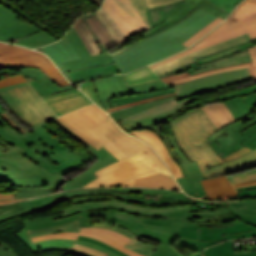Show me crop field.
Segmentation results:
<instances>
[{
  "instance_id": "obj_64",
  "label": "crop field",
  "mask_w": 256,
  "mask_h": 256,
  "mask_svg": "<svg viewBox=\"0 0 256 256\" xmlns=\"http://www.w3.org/2000/svg\"><path fill=\"white\" fill-rule=\"evenodd\" d=\"M250 111H253L256 106V94H253L249 97L244 98Z\"/></svg>"
},
{
  "instance_id": "obj_49",
  "label": "crop field",
  "mask_w": 256,
  "mask_h": 256,
  "mask_svg": "<svg viewBox=\"0 0 256 256\" xmlns=\"http://www.w3.org/2000/svg\"><path fill=\"white\" fill-rule=\"evenodd\" d=\"M57 230H63V231H79V220L72 222V223H68V224H64V225H60V226H56V227H51V228H46V229H41V230H37V231H32V232H28L30 237H34V236H40V235H44V234H48V233H53Z\"/></svg>"
},
{
  "instance_id": "obj_6",
  "label": "crop field",
  "mask_w": 256,
  "mask_h": 256,
  "mask_svg": "<svg viewBox=\"0 0 256 256\" xmlns=\"http://www.w3.org/2000/svg\"><path fill=\"white\" fill-rule=\"evenodd\" d=\"M214 18L216 16L200 9L174 27L131 44L111 56L122 74L149 65L185 49L181 42Z\"/></svg>"
},
{
  "instance_id": "obj_60",
  "label": "crop field",
  "mask_w": 256,
  "mask_h": 256,
  "mask_svg": "<svg viewBox=\"0 0 256 256\" xmlns=\"http://www.w3.org/2000/svg\"><path fill=\"white\" fill-rule=\"evenodd\" d=\"M129 1L137 9V11L143 16V18L146 20V22L148 23V25L151 29V26H150V24L147 20V16H146L144 0H129Z\"/></svg>"
},
{
  "instance_id": "obj_62",
  "label": "crop field",
  "mask_w": 256,
  "mask_h": 256,
  "mask_svg": "<svg viewBox=\"0 0 256 256\" xmlns=\"http://www.w3.org/2000/svg\"><path fill=\"white\" fill-rule=\"evenodd\" d=\"M252 90H256V85L251 86V87H248V88L243 89V90H240V91L232 92V93L227 94V95L220 96V97H218V98H221V99H229V98H231V97H235V96H239V95L248 93L249 91H252Z\"/></svg>"
},
{
  "instance_id": "obj_41",
  "label": "crop field",
  "mask_w": 256,
  "mask_h": 256,
  "mask_svg": "<svg viewBox=\"0 0 256 256\" xmlns=\"http://www.w3.org/2000/svg\"><path fill=\"white\" fill-rule=\"evenodd\" d=\"M110 190L139 193V194H145V195L164 196V197H171V198H190V197H187L183 192H179V191L136 189V188H121V189H110Z\"/></svg>"
},
{
  "instance_id": "obj_24",
  "label": "crop field",
  "mask_w": 256,
  "mask_h": 256,
  "mask_svg": "<svg viewBox=\"0 0 256 256\" xmlns=\"http://www.w3.org/2000/svg\"><path fill=\"white\" fill-rule=\"evenodd\" d=\"M97 158L99 159L98 162L94 163L91 166V168L89 170H87L86 172H84L81 175L77 176L76 178L72 179L68 183L64 184L62 186V190L65 191V190L79 188L80 186H82L98 177L95 174H93L92 172L118 161V159H116L113 155H111L109 152H107L103 148H101L100 153L97 156Z\"/></svg>"
},
{
  "instance_id": "obj_10",
  "label": "crop field",
  "mask_w": 256,
  "mask_h": 256,
  "mask_svg": "<svg viewBox=\"0 0 256 256\" xmlns=\"http://www.w3.org/2000/svg\"><path fill=\"white\" fill-rule=\"evenodd\" d=\"M0 98L23 123L33 129L57 117L28 83L0 89Z\"/></svg>"
},
{
  "instance_id": "obj_8",
  "label": "crop field",
  "mask_w": 256,
  "mask_h": 256,
  "mask_svg": "<svg viewBox=\"0 0 256 256\" xmlns=\"http://www.w3.org/2000/svg\"><path fill=\"white\" fill-rule=\"evenodd\" d=\"M247 32L251 39L256 38V0H244L219 27L194 44L192 47L171 56L159 63L150 65L151 68L180 57L203 47L221 42Z\"/></svg>"
},
{
  "instance_id": "obj_63",
  "label": "crop field",
  "mask_w": 256,
  "mask_h": 256,
  "mask_svg": "<svg viewBox=\"0 0 256 256\" xmlns=\"http://www.w3.org/2000/svg\"><path fill=\"white\" fill-rule=\"evenodd\" d=\"M175 1L179 0H145L147 8L161 6Z\"/></svg>"
},
{
  "instance_id": "obj_39",
  "label": "crop field",
  "mask_w": 256,
  "mask_h": 256,
  "mask_svg": "<svg viewBox=\"0 0 256 256\" xmlns=\"http://www.w3.org/2000/svg\"><path fill=\"white\" fill-rule=\"evenodd\" d=\"M176 92V88H171V89H166V90H160V91H155V92H150V93H144V94H139V95H133V96H127V97H120V98H112L109 99L111 103V107L139 101V100H144L160 95H165L169 93H174ZM109 109V108H108Z\"/></svg>"
},
{
  "instance_id": "obj_72",
  "label": "crop field",
  "mask_w": 256,
  "mask_h": 256,
  "mask_svg": "<svg viewBox=\"0 0 256 256\" xmlns=\"http://www.w3.org/2000/svg\"><path fill=\"white\" fill-rule=\"evenodd\" d=\"M254 184H256V183H254ZM248 185H253V184H248ZM248 185H244V186H248ZM238 187H243V186H238ZM238 187H235V188H238Z\"/></svg>"
},
{
  "instance_id": "obj_65",
  "label": "crop field",
  "mask_w": 256,
  "mask_h": 256,
  "mask_svg": "<svg viewBox=\"0 0 256 256\" xmlns=\"http://www.w3.org/2000/svg\"><path fill=\"white\" fill-rule=\"evenodd\" d=\"M253 61V77L256 79V47L248 49Z\"/></svg>"
},
{
  "instance_id": "obj_44",
  "label": "crop field",
  "mask_w": 256,
  "mask_h": 256,
  "mask_svg": "<svg viewBox=\"0 0 256 256\" xmlns=\"http://www.w3.org/2000/svg\"><path fill=\"white\" fill-rule=\"evenodd\" d=\"M0 54L2 55L3 59H7V58L40 54V53L32 51L30 49L17 47L10 44L0 43Z\"/></svg>"
},
{
  "instance_id": "obj_28",
  "label": "crop field",
  "mask_w": 256,
  "mask_h": 256,
  "mask_svg": "<svg viewBox=\"0 0 256 256\" xmlns=\"http://www.w3.org/2000/svg\"><path fill=\"white\" fill-rule=\"evenodd\" d=\"M82 17L88 28L95 36L103 52L108 51L110 48L117 45L112 36L108 33V31L105 29V27L102 25V23L99 21L94 13L86 14Z\"/></svg>"
},
{
  "instance_id": "obj_46",
  "label": "crop field",
  "mask_w": 256,
  "mask_h": 256,
  "mask_svg": "<svg viewBox=\"0 0 256 256\" xmlns=\"http://www.w3.org/2000/svg\"><path fill=\"white\" fill-rule=\"evenodd\" d=\"M249 79H252V75L242 77V78H238V79H234V80H230V81H226V82H222V83H218V84H214V85H210V86H206V87L199 88V89H196V90L188 91V92H185V93H182V94H178L177 96H178V99L180 100V99L188 97V96H193V95H196V94H199V93L207 92V91L212 90V89L229 86V85H232L234 83H238V82L249 80Z\"/></svg>"
},
{
  "instance_id": "obj_59",
  "label": "crop field",
  "mask_w": 256,
  "mask_h": 256,
  "mask_svg": "<svg viewBox=\"0 0 256 256\" xmlns=\"http://www.w3.org/2000/svg\"><path fill=\"white\" fill-rule=\"evenodd\" d=\"M78 240H82V241H86V242L95 243V244H98V245H100V246H103V247H105V248H107V249H109V250H111V251H113V252H115V253H117V254H119V255H121V256H128L127 254H125V253H123V252H121V251H119V250H117V249H115V248H113V247H111V246H109V245H106V244L101 243V242H99V241H97V240H94V239H92V238H86V237H81V236H79Z\"/></svg>"
},
{
  "instance_id": "obj_55",
  "label": "crop field",
  "mask_w": 256,
  "mask_h": 256,
  "mask_svg": "<svg viewBox=\"0 0 256 256\" xmlns=\"http://www.w3.org/2000/svg\"><path fill=\"white\" fill-rule=\"evenodd\" d=\"M59 127L64 129L66 132H68L70 135H72L74 138H76L78 141L83 143L85 146H87L89 149L87 150L91 155L94 157L97 155L99 151H97L95 148H93L91 145H89L87 142L82 140L80 137H78L76 134H74L72 131H70L68 128H66L62 123H60L58 120H53Z\"/></svg>"
},
{
  "instance_id": "obj_52",
  "label": "crop field",
  "mask_w": 256,
  "mask_h": 256,
  "mask_svg": "<svg viewBox=\"0 0 256 256\" xmlns=\"http://www.w3.org/2000/svg\"><path fill=\"white\" fill-rule=\"evenodd\" d=\"M80 89L86 94L88 95L97 105H99L101 108H103V106L101 105L94 84L92 81H88L85 82L83 84L80 85ZM104 109V108H103Z\"/></svg>"
},
{
  "instance_id": "obj_21",
  "label": "crop field",
  "mask_w": 256,
  "mask_h": 256,
  "mask_svg": "<svg viewBox=\"0 0 256 256\" xmlns=\"http://www.w3.org/2000/svg\"><path fill=\"white\" fill-rule=\"evenodd\" d=\"M93 82L104 108L110 105L108 98L130 95L123 75L106 76Z\"/></svg>"
},
{
  "instance_id": "obj_43",
  "label": "crop field",
  "mask_w": 256,
  "mask_h": 256,
  "mask_svg": "<svg viewBox=\"0 0 256 256\" xmlns=\"http://www.w3.org/2000/svg\"><path fill=\"white\" fill-rule=\"evenodd\" d=\"M124 77L127 81L128 86L158 80V77H156L155 74L148 67L124 75Z\"/></svg>"
},
{
  "instance_id": "obj_54",
  "label": "crop field",
  "mask_w": 256,
  "mask_h": 256,
  "mask_svg": "<svg viewBox=\"0 0 256 256\" xmlns=\"http://www.w3.org/2000/svg\"><path fill=\"white\" fill-rule=\"evenodd\" d=\"M221 9L226 11L227 13H231L234 7L241 1V0H210Z\"/></svg>"
},
{
  "instance_id": "obj_34",
  "label": "crop field",
  "mask_w": 256,
  "mask_h": 256,
  "mask_svg": "<svg viewBox=\"0 0 256 256\" xmlns=\"http://www.w3.org/2000/svg\"><path fill=\"white\" fill-rule=\"evenodd\" d=\"M243 67H248L249 75L252 74V62H249V63L240 64V65H236V66H232V67H227V68H222V69H217V70H211V71H207V72L197 74V75H193V76H190L188 74V72L185 71V72L179 73L177 75L161 78V80L170 84V85H174V84L186 82L188 80L196 79V78H199V77H202V76H205V75L218 73V72H223V71H228V70L237 69V68H243Z\"/></svg>"
},
{
  "instance_id": "obj_16",
  "label": "crop field",
  "mask_w": 256,
  "mask_h": 256,
  "mask_svg": "<svg viewBox=\"0 0 256 256\" xmlns=\"http://www.w3.org/2000/svg\"><path fill=\"white\" fill-rule=\"evenodd\" d=\"M200 8L223 19H225L229 15L208 0H186L185 3L166 12V14L170 17L168 20L151 29L153 32L145 34L143 36L146 38L148 36L166 30L177 24L178 22L182 21L186 17L190 16Z\"/></svg>"
},
{
  "instance_id": "obj_5",
  "label": "crop field",
  "mask_w": 256,
  "mask_h": 256,
  "mask_svg": "<svg viewBox=\"0 0 256 256\" xmlns=\"http://www.w3.org/2000/svg\"><path fill=\"white\" fill-rule=\"evenodd\" d=\"M194 99L196 98L193 96L178 101L177 96L174 95L113 112L109 115L128 131L137 128H147L160 135L165 141L171 155L179 163L185 174V177L176 180L185 193L199 198L206 194L200 182V180L204 179V176L197 161L190 162L176 144L174 136L163 135L155 124L166 121L172 114Z\"/></svg>"
},
{
  "instance_id": "obj_12",
  "label": "crop field",
  "mask_w": 256,
  "mask_h": 256,
  "mask_svg": "<svg viewBox=\"0 0 256 256\" xmlns=\"http://www.w3.org/2000/svg\"><path fill=\"white\" fill-rule=\"evenodd\" d=\"M256 123V117L249 115L248 117L235 122L231 125L223 127L208 137V143L217 154L218 157H223L241 147L240 143L247 139L249 136L240 135L247 127Z\"/></svg>"
},
{
  "instance_id": "obj_47",
  "label": "crop field",
  "mask_w": 256,
  "mask_h": 256,
  "mask_svg": "<svg viewBox=\"0 0 256 256\" xmlns=\"http://www.w3.org/2000/svg\"><path fill=\"white\" fill-rule=\"evenodd\" d=\"M120 7L146 32L149 29L147 23L141 17V15L136 11V9L131 5L128 0H115Z\"/></svg>"
},
{
  "instance_id": "obj_48",
  "label": "crop field",
  "mask_w": 256,
  "mask_h": 256,
  "mask_svg": "<svg viewBox=\"0 0 256 256\" xmlns=\"http://www.w3.org/2000/svg\"><path fill=\"white\" fill-rule=\"evenodd\" d=\"M171 87L172 86L166 85L165 83L161 82V80H158V81L130 86L128 88H129L130 94L133 95V94L150 92V91L166 89Z\"/></svg>"
},
{
  "instance_id": "obj_70",
  "label": "crop field",
  "mask_w": 256,
  "mask_h": 256,
  "mask_svg": "<svg viewBox=\"0 0 256 256\" xmlns=\"http://www.w3.org/2000/svg\"><path fill=\"white\" fill-rule=\"evenodd\" d=\"M253 182H256L255 181H249V182H243V183H237V184H233L234 186H237V185H244V184H248V183H253Z\"/></svg>"
},
{
  "instance_id": "obj_14",
  "label": "crop field",
  "mask_w": 256,
  "mask_h": 256,
  "mask_svg": "<svg viewBox=\"0 0 256 256\" xmlns=\"http://www.w3.org/2000/svg\"><path fill=\"white\" fill-rule=\"evenodd\" d=\"M256 44V39L251 42L244 43L234 48L206 56L198 59L199 61L189 70L190 75L204 72L211 69L232 66L244 62L251 61V57L247 47Z\"/></svg>"
},
{
  "instance_id": "obj_67",
  "label": "crop field",
  "mask_w": 256,
  "mask_h": 256,
  "mask_svg": "<svg viewBox=\"0 0 256 256\" xmlns=\"http://www.w3.org/2000/svg\"><path fill=\"white\" fill-rule=\"evenodd\" d=\"M77 155L81 156L83 159H85L86 161H89L93 158H91L87 153H84L82 151H74Z\"/></svg>"
},
{
  "instance_id": "obj_27",
  "label": "crop field",
  "mask_w": 256,
  "mask_h": 256,
  "mask_svg": "<svg viewBox=\"0 0 256 256\" xmlns=\"http://www.w3.org/2000/svg\"><path fill=\"white\" fill-rule=\"evenodd\" d=\"M128 38L143 33V30L118 6L114 0H106L104 6Z\"/></svg>"
},
{
  "instance_id": "obj_57",
  "label": "crop field",
  "mask_w": 256,
  "mask_h": 256,
  "mask_svg": "<svg viewBox=\"0 0 256 256\" xmlns=\"http://www.w3.org/2000/svg\"><path fill=\"white\" fill-rule=\"evenodd\" d=\"M26 81L27 80L24 78V76L22 74L8 77V78L0 80V88L18 84V83H22V82H26Z\"/></svg>"
},
{
  "instance_id": "obj_1",
  "label": "crop field",
  "mask_w": 256,
  "mask_h": 256,
  "mask_svg": "<svg viewBox=\"0 0 256 256\" xmlns=\"http://www.w3.org/2000/svg\"><path fill=\"white\" fill-rule=\"evenodd\" d=\"M102 216L105 220L128 228L142 238L202 251L227 239L256 236V228L236 220L227 206L169 214V218L139 217L112 208Z\"/></svg>"
},
{
  "instance_id": "obj_58",
  "label": "crop field",
  "mask_w": 256,
  "mask_h": 256,
  "mask_svg": "<svg viewBox=\"0 0 256 256\" xmlns=\"http://www.w3.org/2000/svg\"><path fill=\"white\" fill-rule=\"evenodd\" d=\"M240 198L256 197V185L236 189Z\"/></svg>"
},
{
  "instance_id": "obj_29",
  "label": "crop field",
  "mask_w": 256,
  "mask_h": 256,
  "mask_svg": "<svg viewBox=\"0 0 256 256\" xmlns=\"http://www.w3.org/2000/svg\"><path fill=\"white\" fill-rule=\"evenodd\" d=\"M118 72H120V70L118 69L116 63H113L109 65L88 67L82 70L68 72V75L70 76L72 82L76 85L95 77Z\"/></svg>"
},
{
  "instance_id": "obj_37",
  "label": "crop field",
  "mask_w": 256,
  "mask_h": 256,
  "mask_svg": "<svg viewBox=\"0 0 256 256\" xmlns=\"http://www.w3.org/2000/svg\"><path fill=\"white\" fill-rule=\"evenodd\" d=\"M17 203L0 206V221L22 214ZM0 256H17L6 244L0 242Z\"/></svg>"
},
{
  "instance_id": "obj_45",
  "label": "crop field",
  "mask_w": 256,
  "mask_h": 256,
  "mask_svg": "<svg viewBox=\"0 0 256 256\" xmlns=\"http://www.w3.org/2000/svg\"><path fill=\"white\" fill-rule=\"evenodd\" d=\"M231 114L237 120L251 114L243 100V98H235L233 100L224 101Z\"/></svg>"
},
{
  "instance_id": "obj_17",
  "label": "crop field",
  "mask_w": 256,
  "mask_h": 256,
  "mask_svg": "<svg viewBox=\"0 0 256 256\" xmlns=\"http://www.w3.org/2000/svg\"><path fill=\"white\" fill-rule=\"evenodd\" d=\"M247 41H251V39L247 35V33H245V34L237 36L235 38H232V39L223 41L221 43L206 47L204 49L189 53L185 56H182L180 58H177V59L167 62L165 64L159 65V66L153 68V70L155 71V73L157 75L165 74L172 70H176V69L184 67L190 63H193V62L197 61L196 59H198L200 57L231 48L233 46L239 45V44L247 42Z\"/></svg>"
},
{
  "instance_id": "obj_3",
  "label": "crop field",
  "mask_w": 256,
  "mask_h": 256,
  "mask_svg": "<svg viewBox=\"0 0 256 256\" xmlns=\"http://www.w3.org/2000/svg\"><path fill=\"white\" fill-rule=\"evenodd\" d=\"M107 117L102 109L92 104L57 118L97 150L101 145L120 160L94 172L100 177L83 187L133 186V179L160 172L146 153L127 158L95 128Z\"/></svg>"
},
{
  "instance_id": "obj_22",
  "label": "crop field",
  "mask_w": 256,
  "mask_h": 256,
  "mask_svg": "<svg viewBox=\"0 0 256 256\" xmlns=\"http://www.w3.org/2000/svg\"><path fill=\"white\" fill-rule=\"evenodd\" d=\"M131 133L153 147V149L162 158V160L165 162L175 178L184 176L178 163L172 158V156L168 152L166 145L161 137L147 129H138L135 131H131Z\"/></svg>"
},
{
  "instance_id": "obj_18",
  "label": "crop field",
  "mask_w": 256,
  "mask_h": 256,
  "mask_svg": "<svg viewBox=\"0 0 256 256\" xmlns=\"http://www.w3.org/2000/svg\"><path fill=\"white\" fill-rule=\"evenodd\" d=\"M10 66H16L18 68L37 67L59 87L69 84L60 71L44 54L7 60H3L0 55V68Z\"/></svg>"
},
{
  "instance_id": "obj_4",
  "label": "crop field",
  "mask_w": 256,
  "mask_h": 256,
  "mask_svg": "<svg viewBox=\"0 0 256 256\" xmlns=\"http://www.w3.org/2000/svg\"><path fill=\"white\" fill-rule=\"evenodd\" d=\"M175 139L190 161L197 160L205 179L242 171L256 166V150L235 160L223 163L248 151L246 147L220 159L209 144L207 137L217 130L201 108L175 118L170 123Z\"/></svg>"
},
{
  "instance_id": "obj_40",
  "label": "crop field",
  "mask_w": 256,
  "mask_h": 256,
  "mask_svg": "<svg viewBox=\"0 0 256 256\" xmlns=\"http://www.w3.org/2000/svg\"><path fill=\"white\" fill-rule=\"evenodd\" d=\"M204 256H256V252L234 254L233 241H227L207 248Z\"/></svg>"
},
{
  "instance_id": "obj_69",
  "label": "crop field",
  "mask_w": 256,
  "mask_h": 256,
  "mask_svg": "<svg viewBox=\"0 0 256 256\" xmlns=\"http://www.w3.org/2000/svg\"><path fill=\"white\" fill-rule=\"evenodd\" d=\"M21 200H24V199H21ZM17 201H20V200L0 201V204L13 203V202H17Z\"/></svg>"
},
{
  "instance_id": "obj_23",
  "label": "crop field",
  "mask_w": 256,
  "mask_h": 256,
  "mask_svg": "<svg viewBox=\"0 0 256 256\" xmlns=\"http://www.w3.org/2000/svg\"><path fill=\"white\" fill-rule=\"evenodd\" d=\"M21 71L41 96L74 89L72 85L59 88L36 68H22Z\"/></svg>"
},
{
  "instance_id": "obj_2",
  "label": "crop field",
  "mask_w": 256,
  "mask_h": 256,
  "mask_svg": "<svg viewBox=\"0 0 256 256\" xmlns=\"http://www.w3.org/2000/svg\"><path fill=\"white\" fill-rule=\"evenodd\" d=\"M63 199L72 206L60 210L66 216L80 211L107 210L112 207L140 216L168 217V213L189 211V205L209 202L196 199H171L109 191V189H77L35 198L18 204L24 213L47 209Z\"/></svg>"
},
{
  "instance_id": "obj_9",
  "label": "crop field",
  "mask_w": 256,
  "mask_h": 256,
  "mask_svg": "<svg viewBox=\"0 0 256 256\" xmlns=\"http://www.w3.org/2000/svg\"><path fill=\"white\" fill-rule=\"evenodd\" d=\"M104 213H107V211L81 212V213L73 214L66 217H64L62 214H57V215L48 216V217L39 218V219L25 220L24 223L26 228H24L22 232L15 233V235L19 239H21L23 242H25L29 246V248L33 251V253L45 251V250L65 249V250H68V253L74 254L77 256H91L86 253L70 249L74 243H77V244L89 246L97 250L103 251L105 253H108L110 254L109 256H118L94 244L78 242V241L49 240V241L32 244L27 233V231L56 226V225L72 222L77 219L80 220V227H92L90 216H93V214H104Z\"/></svg>"
},
{
  "instance_id": "obj_25",
  "label": "crop field",
  "mask_w": 256,
  "mask_h": 256,
  "mask_svg": "<svg viewBox=\"0 0 256 256\" xmlns=\"http://www.w3.org/2000/svg\"><path fill=\"white\" fill-rule=\"evenodd\" d=\"M40 49L43 50L69 78L61 63L79 59V56L66 37L51 45L40 47Z\"/></svg>"
},
{
  "instance_id": "obj_35",
  "label": "crop field",
  "mask_w": 256,
  "mask_h": 256,
  "mask_svg": "<svg viewBox=\"0 0 256 256\" xmlns=\"http://www.w3.org/2000/svg\"><path fill=\"white\" fill-rule=\"evenodd\" d=\"M73 26L90 52L91 56L99 54V52L102 51L81 17L78 18Z\"/></svg>"
},
{
  "instance_id": "obj_51",
  "label": "crop field",
  "mask_w": 256,
  "mask_h": 256,
  "mask_svg": "<svg viewBox=\"0 0 256 256\" xmlns=\"http://www.w3.org/2000/svg\"><path fill=\"white\" fill-rule=\"evenodd\" d=\"M151 256H183L180 254L176 249H174L172 246L160 244V246L157 248L156 252ZM190 256H202V252L195 253Z\"/></svg>"
},
{
  "instance_id": "obj_33",
  "label": "crop field",
  "mask_w": 256,
  "mask_h": 256,
  "mask_svg": "<svg viewBox=\"0 0 256 256\" xmlns=\"http://www.w3.org/2000/svg\"><path fill=\"white\" fill-rule=\"evenodd\" d=\"M134 186L180 189L173 178L162 173L135 179Z\"/></svg>"
},
{
  "instance_id": "obj_50",
  "label": "crop field",
  "mask_w": 256,
  "mask_h": 256,
  "mask_svg": "<svg viewBox=\"0 0 256 256\" xmlns=\"http://www.w3.org/2000/svg\"><path fill=\"white\" fill-rule=\"evenodd\" d=\"M223 19L217 17L215 20H213L211 23H209L207 26H205L203 29H201L199 32H197L193 37H191L189 40L183 42L182 44L187 48L197 40H199L201 37H203L206 33H208L210 30H212L214 27H216L218 24H220Z\"/></svg>"
},
{
  "instance_id": "obj_56",
  "label": "crop field",
  "mask_w": 256,
  "mask_h": 256,
  "mask_svg": "<svg viewBox=\"0 0 256 256\" xmlns=\"http://www.w3.org/2000/svg\"><path fill=\"white\" fill-rule=\"evenodd\" d=\"M228 178L232 183L256 179V169L243 174L232 175Z\"/></svg>"
},
{
  "instance_id": "obj_36",
  "label": "crop field",
  "mask_w": 256,
  "mask_h": 256,
  "mask_svg": "<svg viewBox=\"0 0 256 256\" xmlns=\"http://www.w3.org/2000/svg\"><path fill=\"white\" fill-rule=\"evenodd\" d=\"M94 227H103V228H108V229H112L118 232H121L127 236H129L130 238H132L133 240L130 241L129 243H127L125 245V247L132 249L138 253H141L145 256H150L152 253L155 252L156 248L155 246H151V245H147V244H143V243H139L137 242L138 239L140 237H137L136 235L132 234L131 232H129L127 229L124 228H114V227H110V226H104V225H94Z\"/></svg>"
},
{
  "instance_id": "obj_30",
  "label": "crop field",
  "mask_w": 256,
  "mask_h": 256,
  "mask_svg": "<svg viewBox=\"0 0 256 256\" xmlns=\"http://www.w3.org/2000/svg\"><path fill=\"white\" fill-rule=\"evenodd\" d=\"M209 198L236 194L235 189L227 178V175L201 181Z\"/></svg>"
},
{
  "instance_id": "obj_31",
  "label": "crop field",
  "mask_w": 256,
  "mask_h": 256,
  "mask_svg": "<svg viewBox=\"0 0 256 256\" xmlns=\"http://www.w3.org/2000/svg\"><path fill=\"white\" fill-rule=\"evenodd\" d=\"M227 205L232 215L256 226V200L231 202Z\"/></svg>"
},
{
  "instance_id": "obj_15",
  "label": "crop field",
  "mask_w": 256,
  "mask_h": 256,
  "mask_svg": "<svg viewBox=\"0 0 256 256\" xmlns=\"http://www.w3.org/2000/svg\"><path fill=\"white\" fill-rule=\"evenodd\" d=\"M78 235L93 237L97 240H100L106 244H109L127 253L130 256H143L141 254H138L132 250H129L123 247L127 242H129L132 239L118 232L108 230V229H102V228H80V233L63 232V233H57V234H48L40 237H34L32 238V240L33 242H37L45 239H51V238H65V239L77 240Z\"/></svg>"
},
{
  "instance_id": "obj_20",
  "label": "crop field",
  "mask_w": 256,
  "mask_h": 256,
  "mask_svg": "<svg viewBox=\"0 0 256 256\" xmlns=\"http://www.w3.org/2000/svg\"><path fill=\"white\" fill-rule=\"evenodd\" d=\"M57 115H61L92 103L77 89L42 97Z\"/></svg>"
},
{
  "instance_id": "obj_26",
  "label": "crop field",
  "mask_w": 256,
  "mask_h": 256,
  "mask_svg": "<svg viewBox=\"0 0 256 256\" xmlns=\"http://www.w3.org/2000/svg\"><path fill=\"white\" fill-rule=\"evenodd\" d=\"M248 75L247 68L244 69H238V70H233L229 72H224V73H218V74H213L209 76H205L196 80L189 81L187 83L183 84H178L174 85L178 88V93L185 92L188 90H192L195 88L203 87L206 85L242 77Z\"/></svg>"
},
{
  "instance_id": "obj_11",
  "label": "crop field",
  "mask_w": 256,
  "mask_h": 256,
  "mask_svg": "<svg viewBox=\"0 0 256 256\" xmlns=\"http://www.w3.org/2000/svg\"><path fill=\"white\" fill-rule=\"evenodd\" d=\"M17 14L0 5V40H13L14 43L29 48L57 41L32 23L22 22Z\"/></svg>"
},
{
  "instance_id": "obj_19",
  "label": "crop field",
  "mask_w": 256,
  "mask_h": 256,
  "mask_svg": "<svg viewBox=\"0 0 256 256\" xmlns=\"http://www.w3.org/2000/svg\"><path fill=\"white\" fill-rule=\"evenodd\" d=\"M67 39L70 41L78 55L81 59L63 63L64 68L66 71L82 69L88 66L94 65H103L113 63L114 60L111 58L108 52L99 54L96 56L91 57L87 49L85 48L84 44L82 43L81 39L79 38L78 34L74 30L73 26L65 35Z\"/></svg>"
},
{
  "instance_id": "obj_13",
  "label": "crop field",
  "mask_w": 256,
  "mask_h": 256,
  "mask_svg": "<svg viewBox=\"0 0 256 256\" xmlns=\"http://www.w3.org/2000/svg\"><path fill=\"white\" fill-rule=\"evenodd\" d=\"M97 129L128 157L146 152L155 162L161 172L171 176L165 164L158 158L150 146L123 133L110 118L108 119L107 123L97 127Z\"/></svg>"
},
{
  "instance_id": "obj_42",
  "label": "crop field",
  "mask_w": 256,
  "mask_h": 256,
  "mask_svg": "<svg viewBox=\"0 0 256 256\" xmlns=\"http://www.w3.org/2000/svg\"><path fill=\"white\" fill-rule=\"evenodd\" d=\"M185 2L183 1H179V2H175L169 5H165V6H161V7H156V8H151V9H146L147 11V15H148V19L149 22L153 27L157 26L158 24H160L161 22L165 21L167 18H169L164 12Z\"/></svg>"
},
{
  "instance_id": "obj_61",
  "label": "crop field",
  "mask_w": 256,
  "mask_h": 256,
  "mask_svg": "<svg viewBox=\"0 0 256 256\" xmlns=\"http://www.w3.org/2000/svg\"><path fill=\"white\" fill-rule=\"evenodd\" d=\"M72 248L76 249V250L86 252V253L91 254L93 256H107L108 255V254L102 253L100 251L94 250L92 248H88V247H84V246H80V245H76V244H74Z\"/></svg>"
},
{
  "instance_id": "obj_32",
  "label": "crop field",
  "mask_w": 256,
  "mask_h": 256,
  "mask_svg": "<svg viewBox=\"0 0 256 256\" xmlns=\"http://www.w3.org/2000/svg\"><path fill=\"white\" fill-rule=\"evenodd\" d=\"M203 111L210 118L217 129L235 122L223 102L209 104L202 107Z\"/></svg>"
},
{
  "instance_id": "obj_68",
  "label": "crop field",
  "mask_w": 256,
  "mask_h": 256,
  "mask_svg": "<svg viewBox=\"0 0 256 256\" xmlns=\"http://www.w3.org/2000/svg\"><path fill=\"white\" fill-rule=\"evenodd\" d=\"M6 198H14L13 194H1L0 193V199H6Z\"/></svg>"
},
{
  "instance_id": "obj_71",
  "label": "crop field",
  "mask_w": 256,
  "mask_h": 256,
  "mask_svg": "<svg viewBox=\"0 0 256 256\" xmlns=\"http://www.w3.org/2000/svg\"><path fill=\"white\" fill-rule=\"evenodd\" d=\"M0 149H1L2 151H4V152L7 150V148H5V147H3V146H1V145H0Z\"/></svg>"
},
{
  "instance_id": "obj_66",
  "label": "crop field",
  "mask_w": 256,
  "mask_h": 256,
  "mask_svg": "<svg viewBox=\"0 0 256 256\" xmlns=\"http://www.w3.org/2000/svg\"><path fill=\"white\" fill-rule=\"evenodd\" d=\"M174 94H175V93H174ZM170 95H172V94H170ZM166 96H169V95H165V96H161V97H157V98H152V99L145 100V101H140V102H136V103H132V104H128V105H124V106H120V107L112 108V109H110V110H106V111H107V112L115 111V110H119V109H122V108H125V107H129V106L135 105V104H139V103H143V102H147V101H151V100L159 99V98L166 97Z\"/></svg>"
},
{
  "instance_id": "obj_38",
  "label": "crop field",
  "mask_w": 256,
  "mask_h": 256,
  "mask_svg": "<svg viewBox=\"0 0 256 256\" xmlns=\"http://www.w3.org/2000/svg\"><path fill=\"white\" fill-rule=\"evenodd\" d=\"M96 16L100 19L109 33L116 40L117 44L124 42L125 39H128L121 29L116 25L112 18L108 15L104 8L95 13ZM114 40V41H115Z\"/></svg>"
},
{
  "instance_id": "obj_7",
  "label": "crop field",
  "mask_w": 256,
  "mask_h": 256,
  "mask_svg": "<svg viewBox=\"0 0 256 256\" xmlns=\"http://www.w3.org/2000/svg\"><path fill=\"white\" fill-rule=\"evenodd\" d=\"M0 104V112H3ZM48 123L39 126L33 132L23 135L8 126L0 117V138L17 146L23 147L20 153L49 171L61 175L80 166L85 160L72 153L54 136L58 135Z\"/></svg>"
},
{
  "instance_id": "obj_53",
  "label": "crop field",
  "mask_w": 256,
  "mask_h": 256,
  "mask_svg": "<svg viewBox=\"0 0 256 256\" xmlns=\"http://www.w3.org/2000/svg\"><path fill=\"white\" fill-rule=\"evenodd\" d=\"M248 134L250 135L251 137L248 138L246 141H244L243 145H245L246 147L250 148V149H254L256 148V124L247 128L246 130H244L242 133L240 134Z\"/></svg>"
}]
</instances>
